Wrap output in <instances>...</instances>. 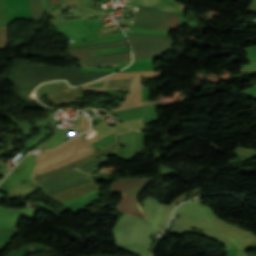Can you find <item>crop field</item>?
<instances>
[{"instance_id":"dd49c442","label":"crop field","mask_w":256,"mask_h":256,"mask_svg":"<svg viewBox=\"0 0 256 256\" xmlns=\"http://www.w3.org/2000/svg\"><path fill=\"white\" fill-rule=\"evenodd\" d=\"M132 25L149 29H166L163 17L158 8L139 9Z\"/></svg>"},{"instance_id":"ac0d7876","label":"crop field","mask_w":256,"mask_h":256,"mask_svg":"<svg viewBox=\"0 0 256 256\" xmlns=\"http://www.w3.org/2000/svg\"><path fill=\"white\" fill-rule=\"evenodd\" d=\"M127 46L125 40L99 45L69 48L72 57L79 60L84 67L99 65H120L131 62V52L95 56L93 50Z\"/></svg>"},{"instance_id":"e52e79f7","label":"crop field","mask_w":256,"mask_h":256,"mask_svg":"<svg viewBox=\"0 0 256 256\" xmlns=\"http://www.w3.org/2000/svg\"><path fill=\"white\" fill-rule=\"evenodd\" d=\"M105 161H107V160H106L105 156H103V157H101V158H99V159H97V160H95V161H93L91 163H88L86 165H83V166H81V167H79L77 169H79V170H81L83 172H86L88 174H92L96 170H98L97 165H99V164H101V163H103Z\"/></svg>"},{"instance_id":"d8731c3e","label":"crop field","mask_w":256,"mask_h":256,"mask_svg":"<svg viewBox=\"0 0 256 256\" xmlns=\"http://www.w3.org/2000/svg\"><path fill=\"white\" fill-rule=\"evenodd\" d=\"M165 20H166V23H167V26H168V29H177L178 27V13H173V12H164V11H161Z\"/></svg>"},{"instance_id":"412701ff","label":"crop field","mask_w":256,"mask_h":256,"mask_svg":"<svg viewBox=\"0 0 256 256\" xmlns=\"http://www.w3.org/2000/svg\"><path fill=\"white\" fill-rule=\"evenodd\" d=\"M150 179H120L111 185L112 191L124 192V196L117 208L119 211L125 212L132 216L142 219L145 217L139 212L136 198L141 193V190L150 183Z\"/></svg>"},{"instance_id":"8a807250","label":"crop field","mask_w":256,"mask_h":256,"mask_svg":"<svg viewBox=\"0 0 256 256\" xmlns=\"http://www.w3.org/2000/svg\"><path fill=\"white\" fill-rule=\"evenodd\" d=\"M107 74L109 73L82 74L77 68L63 71L16 63L11 74V79L14 82L17 95L24 98V96H34V88L44 81L66 79L72 85H79L102 78Z\"/></svg>"},{"instance_id":"3316defc","label":"crop field","mask_w":256,"mask_h":256,"mask_svg":"<svg viewBox=\"0 0 256 256\" xmlns=\"http://www.w3.org/2000/svg\"><path fill=\"white\" fill-rule=\"evenodd\" d=\"M52 6L53 5H57V4H61V0H51Z\"/></svg>"},{"instance_id":"f4fd0767","label":"crop field","mask_w":256,"mask_h":256,"mask_svg":"<svg viewBox=\"0 0 256 256\" xmlns=\"http://www.w3.org/2000/svg\"><path fill=\"white\" fill-rule=\"evenodd\" d=\"M91 182H94L92 177L73 170L35 184L39 189L52 195Z\"/></svg>"},{"instance_id":"34b2d1b8","label":"crop field","mask_w":256,"mask_h":256,"mask_svg":"<svg viewBox=\"0 0 256 256\" xmlns=\"http://www.w3.org/2000/svg\"><path fill=\"white\" fill-rule=\"evenodd\" d=\"M134 55L133 61L158 58L168 51L172 40L168 36L126 34Z\"/></svg>"},{"instance_id":"5a996713","label":"crop field","mask_w":256,"mask_h":256,"mask_svg":"<svg viewBox=\"0 0 256 256\" xmlns=\"http://www.w3.org/2000/svg\"><path fill=\"white\" fill-rule=\"evenodd\" d=\"M29 4L33 19L42 16L39 0H29Z\"/></svg>"}]
</instances>
